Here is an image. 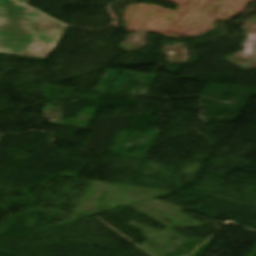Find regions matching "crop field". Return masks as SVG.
<instances>
[{
  "label": "crop field",
  "mask_w": 256,
  "mask_h": 256,
  "mask_svg": "<svg viewBox=\"0 0 256 256\" xmlns=\"http://www.w3.org/2000/svg\"><path fill=\"white\" fill-rule=\"evenodd\" d=\"M25 2L0 0V52L46 59L64 30Z\"/></svg>",
  "instance_id": "1"
}]
</instances>
